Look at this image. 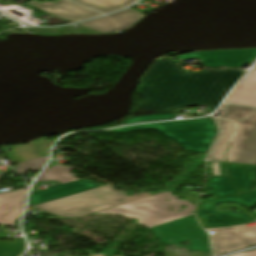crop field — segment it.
<instances>
[{
    "mask_svg": "<svg viewBox=\"0 0 256 256\" xmlns=\"http://www.w3.org/2000/svg\"><path fill=\"white\" fill-rule=\"evenodd\" d=\"M85 6L93 8L104 14L122 9L133 3L135 0H74Z\"/></svg>",
    "mask_w": 256,
    "mask_h": 256,
    "instance_id": "18",
    "label": "crop field"
},
{
    "mask_svg": "<svg viewBox=\"0 0 256 256\" xmlns=\"http://www.w3.org/2000/svg\"><path fill=\"white\" fill-rule=\"evenodd\" d=\"M255 68H256V66H255Z\"/></svg>",
    "mask_w": 256,
    "mask_h": 256,
    "instance_id": "29",
    "label": "crop field"
},
{
    "mask_svg": "<svg viewBox=\"0 0 256 256\" xmlns=\"http://www.w3.org/2000/svg\"><path fill=\"white\" fill-rule=\"evenodd\" d=\"M23 250V242L0 241V256H19Z\"/></svg>",
    "mask_w": 256,
    "mask_h": 256,
    "instance_id": "22",
    "label": "crop field"
},
{
    "mask_svg": "<svg viewBox=\"0 0 256 256\" xmlns=\"http://www.w3.org/2000/svg\"><path fill=\"white\" fill-rule=\"evenodd\" d=\"M28 4L34 7H37L41 10H44L54 16H57L72 22H77V21L102 15L100 13L78 6L66 0H60L54 4L51 2L41 4L33 0Z\"/></svg>",
    "mask_w": 256,
    "mask_h": 256,
    "instance_id": "11",
    "label": "crop field"
},
{
    "mask_svg": "<svg viewBox=\"0 0 256 256\" xmlns=\"http://www.w3.org/2000/svg\"><path fill=\"white\" fill-rule=\"evenodd\" d=\"M25 196V189L0 194V224L15 226L14 220L23 209Z\"/></svg>",
    "mask_w": 256,
    "mask_h": 256,
    "instance_id": "13",
    "label": "crop field"
},
{
    "mask_svg": "<svg viewBox=\"0 0 256 256\" xmlns=\"http://www.w3.org/2000/svg\"><path fill=\"white\" fill-rule=\"evenodd\" d=\"M73 169L69 167H65L63 165L55 166L47 168L46 172L43 173L41 176L38 177L37 182L41 181H51V180H58L62 184L78 180V178L74 177L70 172Z\"/></svg>",
    "mask_w": 256,
    "mask_h": 256,
    "instance_id": "19",
    "label": "crop field"
},
{
    "mask_svg": "<svg viewBox=\"0 0 256 256\" xmlns=\"http://www.w3.org/2000/svg\"><path fill=\"white\" fill-rule=\"evenodd\" d=\"M90 256H106V255H93L91 251H87Z\"/></svg>",
    "mask_w": 256,
    "mask_h": 256,
    "instance_id": "26",
    "label": "crop field"
},
{
    "mask_svg": "<svg viewBox=\"0 0 256 256\" xmlns=\"http://www.w3.org/2000/svg\"><path fill=\"white\" fill-rule=\"evenodd\" d=\"M164 119H175V117L173 113L133 116L131 119L127 120L122 125Z\"/></svg>",
    "mask_w": 256,
    "mask_h": 256,
    "instance_id": "23",
    "label": "crop field"
},
{
    "mask_svg": "<svg viewBox=\"0 0 256 256\" xmlns=\"http://www.w3.org/2000/svg\"><path fill=\"white\" fill-rule=\"evenodd\" d=\"M52 141H45L39 143L38 146L36 143L23 145L20 147H16L13 149V152H18L17 154L11 155L9 158L15 163H20L24 160L41 157L48 154V149L51 145Z\"/></svg>",
    "mask_w": 256,
    "mask_h": 256,
    "instance_id": "17",
    "label": "crop field"
},
{
    "mask_svg": "<svg viewBox=\"0 0 256 256\" xmlns=\"http://www.w3.org/2000/svg\"><path fill=\"white\" fill-rule=\"evenodd\" d=\"M136 195H139V194H136ZM144 197H148V196L141 195V196L127 197L125 195V196H122V197L107 200V201H104V202H100V203H97V204L82 207V208H79V209H75V210L64 212V213L57 214V215H60V216H63V217L86 216V215H89V214H92V213H95V212H98V211H101V210H105V209H108V208H111V207H114V206H118V205H121V204H124V203H127V202H131V201H134V200H137V199H141V198H144ZM119 199H122L124 201H118Z\"/></svg>",
    "mask_w": 256,
    "mask_h": 256,
    "instance_id": "15",
    "label": "crop field"
},
{
    "mask_svg": "<svg viewBox=\"0 0 256 256\" xmlns=\"http://www.w3.org/2000/svg\"><path fill=\"white\" fill-rule=\"evenodd\" d=\"M179 60L189 58H200L206 67L215 68L219 66L241 67L243 62H251L256 59V49L229 50V51H209L196 52L177 57Z\"/></svg>",
    "mask_w": 256,
    "mask_h": 256,
    "instance_id": "9",
    "label": "crop field"
},
{
    "mask_svg": "<svg viewBox=\"0 0 256 256\" xmlns=\"http://www.w3.org/2000/svg\"><path fill=\"white\" fill-rule=\"evenodd\" d=\"M236 202L246 208H253L256 205V191L247 194L217 198L205 202H200L196 212L204 228H217L236 224H247L255 221L244 214H234L231 212L215 211L218 203Z\"/></svg>",
    "mask_w": 256,
    "mask_h": 256,
    "instance_id": "5",
    "label": "crop field"
},
{
    "mask_svg": "<svg viewBox=\"0 0 256 256\" xmlns=\"http://www.w3.org/2000/svg\"><path fill=\"white\" fill-rule=\"evenodd\" d=\"M256 107V70H252L226 99Z\"/></svg>",
    "mask_w": 256,
    "mask_h": 256,
    "instance_id": "14",
    "label": "crop field"
},
{
    "mask_svg": "<svg viewBox=\"0 0 256 256\" xmlns=\"http://www.w3.org/2000/svg\"><path fill=\"white\" fill-rule=\"evenodd\" d=\"M127 193H120L112 189L111 185L80 193L56 201L48 202L38 206H34L45 211L57 214L64 211L72 210L89 204L97 203L107 199L122 196Z\"/></svg>",
    "mask_w": 256,
    "mask_h": 256,
    "instance_id": "8",
    "label": "crop field"
},
{
    "mask_svg": "<svg viewBox=\"0 0 256 256\" xmlns=\"http://www.w3.org/2000/svg\"><path fill=\"white\" fill-rule=\"evenodd\" d=\"M224 112L214 117L219 134L208 160L256 165V109L224 103Z\"/></svg>",
    "mask_w": 256,
    "mask_h": 256,
    "instance_id": "2",
    "label": "crop field"
},
{
    "mask_svg": "<svg viewBox=\"0 0 256 256\" xmlns=\"http://www.w3.org/2000/svg\"><path fill=\"white\" fill-rule=\"evenodd\" d=\"M150 230L159 241L166 244L182 246L177 243L190 239L192 240L190 242L192 248L183 247L191 251L201 250L202 252L210 253L208 238L204 230L199 227L194 215L151 228ZM197 238L199 239L197 240ZM171 239L173 240L170 243Z\"/></svg>",
    "mask_w": 256,
    "mask_h": 256,
    "instance_id": "6",
    "label": "crop field"
},
{
    "mask_svg": "<svg viewBox=\"0 0 256 256\" xmlns=\"http://www.w3.org/2000/svg\"><path fill=\"white\" fill-rule=\"evenodd\" d=\"M30 32L41 33V34H56V33H97L87 28L81 27L75 29L72 26L63 28H28Z\"/></svg>",
    "mask_w": 256,
    "mask_h": 256,
    "instance_id": "21",
    "label": "crop field"
},
{
    "mask_svg": "<svg viewBox=\"0 0 256 256\" xmlns=\"http://www.w3.org/2000/svg\"><path fill=\"white\" fill-rule=\"evenodd\" d=\"M214 232L215 235H212L211 238L216 256L256 244V226L220 228Z\"/></svg>",
    "mask_w": 256,
    "mask_h": 256,
    "instance_id": "7",
    "label": "crop field"
},
{
    "mask_svg": "<svg viewBox=\"0 0 256 256\" xmlns=\"http://www.w3.org/2000/svg\"><path fill=\"white\" fill-rule=\"evenodd\" d=\"M147 128H157L166 136L177 141L183 148L204 155L207 154L210 143L216 134V128L211 118L146 124L111 130V132L123 133Z\"/></svg>",
    "mask_w": 256,
    "mask_h": 256,
    "instance_id": "4",
    "label": "crop field"
},
{
    "mask_svg": "<svg viewBox=\"0 0 256 256\" xmlns=\"http://www.w3.org/2000/svg\"><path fill=\"white\" fill-rule=\"evenodd\" d=\"M155 254L153 253V254H151L150 256H154Z\"/></svg>",
    "mask_w": 256,
    "mask_h": 256,
    "instance_id": "27",
    "label": "crop field"
},
{
    "mask_svg": "<svg viewBox=\"0 0 256 256\" xmlns=\"http://www.w3.org/2000/svg\"><path fill=\"white\" fill-rule=\"evenodd\" d=\"M233 256H256V251L249 252V253H240Z\"/></svg>",
    "mask_w": 256,
    "mask_h": 256,
    "instance_id": "25",
    "label": "crop field"
},
{
    "mask_svg": "<svg viewBox=\"0 0 256 256\" xmlns=\"http://www.w3.org/2000/svg\"><path fill=\"white\" fill-rule=\"evenodd\" d=\"M232 185L240 192H251L254 182L249 179V172L256 166L228 163Z\"/></svg>",
    "mask_w": 256,
    "mask_h": 256,
    "instance_id": "16",
    "label": "crop field"
},
{
    "mask_svg": "<svg viewBox=\"0 0 256 256\" xmlns=\"http://www.w3.org/2000/svg\"><path fill=\"white\" fill-rule=\"evenodd\" d=\"M162 195L163 197H161ZM166 196L169 197L165 198ZM176 197L177 196L171 195L170 192H164L158 195L137 200L98 213H112L124 215L130 218H136L139 219L137 223L143 224L151 228L169 221H173L191 215L190 212L194 210L195 206H193L187 201L177 200ZM153 198L155 200H152ZM166 199H168L169 201H165ZM160 203H162V205H159ZM175 203L186 205L187 208L180 212L175 213L174 211L181 209L179 205H174ZM167 206L175 207V209H173L174 213L168 210L170 208H168Z\"/></svg>",
    "mask_w": 256,
    "mask_h": 256,
    "instance_id": "3",
    "label": "crop field"
},
{
    "mask_svg": "<svg viewBox=\"0 0 256 256\" xmlns=\"http://www.w3.org/2000/svg\"><path fill=\"white\" fill-rule=\"evenodd\" d=\"M143 16L128 8L122 12L80 24L101 33H112L131 27Z\"/></svg>",
    "mask_w": 256,
    "mask_h": 256,
    "instance_id": "10",
    "label": "crop field"
},
{
    "mask_svg": "<svg viewBox=\"0 0 256 256\" xmlns=\"http://www.w3.org/2000/svg\"><path fill=\"white\" fill-rule=\"evenodd\" d=\"M0 179H2V178L0 177Z\"/></svg>",
    "mask_w": 256,
    "mask_h": 256,
    "instance_id": "28",
    "label": "crop field"
},
{
    "mask_svg": "<svg viewBox=\"0 0 256 256\" xmlns=\"http://www.w3.org/2000/svg\"><path fill=\"white\" fill-rule=\"evenodd\" d=\"M98 187H102V186L94 183H90L88 181L78 180L72 183H68L65 185H61L58 187H54L48 190L31 194L30 205L31 206L38 205L41 203L56 200V199L77 194L80 192L95 189Z\"/></svg>",
    "mask_w": 256,
    "mask_h": 256,
    "instance_id": "12",
    "label": "crop field"
},
{
    "mask_svg": "<svg viewBox=\"0 0 256 256\" xmlns=\"http://www.w3.org/2000/svg\"><path fill=\"white\" fill-rule=\"evenodd\" d=\"M46 161H47V156L37 158V159H33V160H28V161H25V162L21 163L16 168V170L19 174L28 170V169H30L32 171L42 170V168L46 164ZM24 163H26V165H24Z\"/></svg>",
    "mask_w": 256,
    "mask_h": 256,
    "instance_id": "24",
    "label": "crop field"
},
{
    "mask_svg": "<svg viewBox=\"0 0 256 256\" xmlns=\"http://www.w3.org/2000/svg\"><path fill=\"white\" fill-rule=\"evenodd\" d=\"M245 70H205L185 73L172 59L157 61L143 76L139 95L144 101L137 112L172 111L207 104L210 112Z\"/></svg>",
    "mask_w": 256,
    "mask_h": 256,
    "instance_id": "1",
    "label": "crop field"
},
{
    "mask_svg": "<svg viewBox=\"0 0 256 256\" xmlns=\"http://www.w3.org/2000/svg\"><path fill=\"white\" fill-rule=\"evenodd\" d=\"M210 189H215L213 194L215 198L239 194L230 183L228 177H212L208 184Z\"/></svg>",
    "mask_w": 256,
    "mask_h": 256,
    "instance_id": "20",
    "label": "crop field"
}]
</instances>
